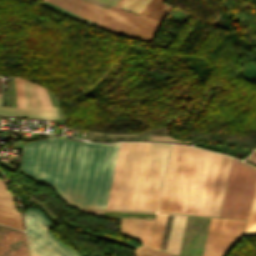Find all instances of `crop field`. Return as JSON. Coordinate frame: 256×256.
Returning a JSON list of instances; mask_svg holds the SVG:
<instances>
[{
    "label": "crop field",
    "instance_id": "1",
    "mask_svg": "<svg viewBox=\"0 0 256 256\" xmlns=\"http://www.w3.org/2000/svg\"><path fill=\"white\" fill-rule=\"evenodd\" d=\"M119 145L49 137L24 146L20 168L73 206L105 209Z\"/></svg>",
    "mask_w": 256,
    "mask_h": 256
},
{
    "label": "crop field",
    "instance_id": "2",
    "mask_svg": "<svg viewBox=\"0 0 256 256\" xmlns=\"http://www.w3.org/2000/svg\"><path fill=\"white\" fill-rule=\"evenodd\" d=\"M220 157L187 146L172 213L207 216Z\"/></svg>",
    "mask_w": 256,
    "mask_h": 256
},
{
    "label": "crop field",
    "instance_id": "3",
    "mask_svg": "<svg viewBox=\"0 0 256 256\" xmlns=\"http://www.w3.org/2000/svg\"><path fill=\"white\" fill-rule=\"evenodd\" d=\"M255 176L256 169L233 159L220 217L246 220ZM249 234H256V181L243 235Z\"/></svg>",
    "mask_w": 256,
    "mask_h": 256
},
{
    "label": "crop field",
    "instance_id": "4",
    "mask_svg": "<svg viewBox=\"0 0 256 256\" xmlns=\"http://www.w3.org/2000/svg\"><path fill=\"white\" fill-rule=\"evenodd\" d=\"M150 143H128L113 209L135 210Z\"/></svg>",
    "mask_w": 256,
    "mask_h": 256
},
{
    "label": "crop field",
    "instance_id": "5",
    "mask_svg": "<svg viewBox=\"0 0 256 256\" xmlns=\"http://www.w3.org/2000/svg\"><path fill=\"white\" fill-rule=\"evenodd\" d=\"M169 147L151 143L136 210L155 211Z\"/></svg>",
    "mask_w": 256,
    "mask_h": 256
},
{
    "label": "crop field",
    "instance_id": "6",
    "mask_svg": "<svg viewBox=\"0 0 256 256\" xmlns=\"http://www.w3.org/2000/svg\"><path fill=\"white\" fill-rule=\"evenodd\" d=\"M25 220L31 256H80L48 231L49 221L38 210H27Z\"/></svg>",
    "mask_w": 256,
    "mask_h": 256
},
{
    "label": "crop field",
    "instance_id": "7",
    "mask_svg": "<svg viewBox=\"0 0 256 256\" xmlns=\"http://www.w3.org/2000/svg\"><path fill=\"white\" fill-rule=\"evenodd\" d=\"M244 221L212 218L203 256H225L241 236Z\"/></svg>",
    "mask_w": 256,
    "mask_h": 256
},
{
    "label": "crop field",
    "instance_id": "8",
    "mask_svg": "<svg viewBox=\"0 0 256 256\" xmlns=\"http://www.w3.org/2000/svg\"><path fill=\"white\" fill-rule=\"evenodd\" d=\"M126 1L120 0L115 7L109 5L99 24L154 38L160 23L118 9Z\"/></svg>",
    "mask_w": 256,
    "mask_h": 256
},
{
    "label": "crop field",
    "instance_id": "9",
    "mask_svg": "<svg viewBox=\"0 0 256 256\" xmlns=\"http://www.w3.org/2000/svg\"><path fill=\"white\" fill-rule=\"evenodd\" d=\"M24 90L26 97L27 109L0 107V116L9 117H33V118H45L52 120H59L58 113L55 107L43 109L42 103L37 90V85L28 82L24 79ZM1 102V96H0Z\"/></svg>",
    "mask_w": 256,
    "mask_h": 256
},
{
    "label": "crop field",
    "instance_id": "10",
    "mask_svg": "<svg viewBox=\"0 0 256 256\" xmlns=\"http://www.w3.org/2000/svg\"><path fill=\"white\" fill-rule=\"evenodd\" d=\"M186 146L173 144L158 211L171 213Z\"/></svg>",
    "mask_w": 256,
    "mask_h": 256
},
{
    "label": "crop field",
    "instance_id": "11",
    "mask_svg": "<svg viewBox=\"0 0 256 256\" xmlns=\"http://www.w3.org/2000/svg\"><path fill=\"white\" fill-rule=\"evenodd\" d=\"M2 256H29L25 233L0 225Z\"/></svg>",
    "mask_w": 256,
    "mask_h": 256
},
{
    "label": "crop field",
    "instance_id": "12",
    "mask_svg": "<svg viewBox=\"0 0 256 256\" xmlns=\"http://www.w3.org/2000/svg\"><path fill=\"white\" fill-rule=\"evenodd\" d=\"M232 159L222 155L208 216L219 217Z\"/></svg>",
    "mask_w": 256,
    "mask_h": 256
},
{
    "label": "crop field",
    "instance_id": "13",
    "mask_svg": "<svg viewBox=\"0 0 256 256\" xmlns=\"http://www.w3.org/2000/svg\"><path fill=\"white\" fill-rule=\"evenodd\" d=\"M0 223L23 230L21 213L16 212L12 195L0 180Z\"/></svg>",
    "mask_w": 256,
    "mask_h": 256
},
{
    "label": "crop field",
    "instance_id": "14",
    "mask_svg": "<svg viewBox=\"0 0 256 256\" xmlns=\"http://www.w3.org/2000/svg\"><path fill=\"white\" fill-rule=\"evenodd\" d=\"M75 209L81 212L92 214L99 217H104L102 216V213L104 211H109V210H92V209H82V208H75ZM111 212H132V211H111ZM132 213H148V212H132ZM148 214H155V213H148ZM106 218H115V217H106ZM144 220L145 219L122 218L121 224H120V233L128 238L140 241Z\"/></svg>",
    "mask_w": 256,
    "mask_h": 256
},
{
    "label": "crop field",
    "instance_id": "15",
    "mask_svg": "<svg viewBox=\"0 0 256 256\" xmlns=\"http://www.w3.org/2000/svg\"><path fill=\"white\" fill-rule=\"evenodd\" d=\"M73 13L98 22L105 9L90 5L82 0H48Z\"/></svg>",
    "mask_w": 256,
    "mask_h": 256
},
{
    "label": "crop field",
    "instance_id": "16",
    "mask_svg": "<svg viewBox=\"0 0 256 256\" xmlns=\"http://www.w3.org/2000/svg\"><path fill=\"white\" fill-rule=\"evenodd\" d=\"M186 218L187 216H184V215H174L173 221H172V226H171V231H170L166 251L177 256L180 250Z\"/></svg>",
    "mask_w": 256,
    "mask_h": 256
},
{
    "label": "crop field",
    "instance_id": "17",
    "mask_svg": "<svg viewBox=\"0 0 256 256\" xmlns=\"http://www.w3.org/2000/svg\"><path fill=\"white\" fill-rule=\"evenodd\" d=\"M164 0H151L142 10L140 15L148 17L158 22H162L171 6L163 3Z\"/></svg>",
    "mask_w": 256,
    "mask_h": 256
},
{
    "label": "crop field",
    "instance_id": "18",
    "mask_svg": "<svg viewBox=\"0 0 256 256\" xmlns=\"http://www.w3.org/2000/svg\"><path fill=\"white\" fill-rule=\"evenodd\" d=\"M127 143H121L106 209H112Z\"/></svg>",
    "mask_w": 256,
    "mask_h": 256
},
{
    "label": "crop field",
    "instance_id": "19",
    "mask_svg": "<svg viewBox=\"0 0 256 256\" xmlns=\"http://www.w3.org/2000/svg\"><path fill=\"white\" fill-rule=\"evenodd\" d=\"M167 214L157 213L150 247L159 250Z\"/></svg>",
    "mask_w": 256,
    "mask_h": 256
},
{
    "label": "crop field",
    "instance_id": "20",
    "mask_svg": "<svg viewBox=\"0 0 256 256\" xmlns=\"http://www.w3.org/2000/svg\"><path fill=\"white\" fill-rule=\"evenodd\" d=\"M41 4H42V3H41ZM43 5L49 7V8H51V9H53V10H56V11H58V12H60V13H63V14H65V15H67V16H70V17H72V18H75V19H77V20H79V21H82V22H84V23H86V24H89V25H91V26H93V27H94L95 24H96V23H94V22H92V21H89V20H87V19H85V18H82V17H80V16H78V15H76V14H73V13H71V12H69V11H66V10H64V9H62V8H60V7H58V6L54 5V4H52V3L48 2V1H46V0H44Z\"/></svg>",
    "mask_w": 256,
    "mask_h": 256
},
{
    "label": "crop field",
    "instance_id": "21",
    "mask_svg": "<svg viewBox=\"0 0 256 256\" xmlns=\"http://www.w3.org/2000/svg\"><path fill=\"white\" fill-rule=\"evenodd\" d=\"M149 0H128L122 9L139 14Z\"/></svg>",
    "mask_w": 256,
    "mask_h": 256
},
{
    "label": "crop field",
    "instance_id": "22",
    "mask_svg": "<svg viewBox=\"0 0 256 256\" xmlns=\"http://www.w3.org/2000/svg\"><path fill=\"white\" fill-rule=\"evenodd\" d=\"M16 92H17V107L26 108L24 90L21 78H15Z\"/></svg>",
    "mask_w": 256,
    "mask_h": 256
},
{
    "label": "crop field",
    "instance_id": "23",
    "mask_svg": "<svg viewBox=\"0 0 256 256\" xmlns=\"http://www.w3.org/2000/svg\"><path fill=\"white\" fill-rule=\"evenodd\" d=\"M135 256H170V254L141 246L136 249Z\"/></svg>",
    "mask_w": 256,
    "mask_h": 256
},
{
    "label": "crop field",
    "instance_id": "24",
    "mask_svg": "<svg viewBox=\"0 0 256 256\" xmlns=\"http://www.w3.org/2000/svg\"><path fill=\"white\" fill-rule=\"evenodd\" d=\"M96 27H99V28L107 30V31L123 34V35H126V36L138 38V39H141V40H144V41H147V42H151L152 41V39L141 37V36H138V35H135V34H131V33H128V32H124V31H121V30H117V29H114V28L106 27V26H103V25L97 24Z\"/></svg>",
    "mask_w": 256,
    "mask_h": 256
},
{
    "label": "crop field",
    "instance_id": "25",
    "mask_svg": "<svg viewBox=\"0 0 256 256\" xmlns=\"http://www.w3.org/2000/svg\"><path fill=\"white\" fill-rule=\"evenodd\" d=\"M154 221H146L141 243L148 245Z\"/></svg>",
    "mask_w": 256,
    "mask_h": 256
},
{
    "label": "crop field",
    "instance_id": "26",
    "mask_svg": "<svg viewBox=\"0 0 256 256\" xmlns=\"http://www.w3.org/2000/svg\"><path fill=\"white\" fill-rule=\"evenodd\" d=\"M38 90H39V93H40V96H41V100H42V103H43V106L44 107H51V103H50V100H49V97L47 95V92L45 89H43L41 86L38 85Z\"/></svg>",
    "mask_w": 256,
    "mask_h": 256
},
{
    "label": "crop field",
    "instance_id": "27",
    "mask_svg": "<svg viewBox=\"0 0 256 256\" xmlns=\"http://www.w3.org/2000/svg\"><path fill=\"white\" fill-rule=\"evenodd\" d=\"M103 215H110V216H145V217H155V215H148V214L109 213V212H104Z\"/></svg>",
    "mask_w": 256,
    "mask_h": 256
},
{
    "label": "crop field",
    "instance_id": "28",
    "mask_svg": "<svg viewBox=\"0 0 256 256\" xmlns=\"http://www.w3.org/2000/svg\"><path fill=\"white\" fill-rule=\"evenodd\" d=\"M150 140H163V141H174V142H184L177 139H174L170 136H150ZM189 143V142H187Z\"/></svg>",
    "mask_w": 256,
    "mask_h": 256
},
{
    "label": "crop field",
    "instance_id": "29",
    "mask_svg": "<svg viewBox=\"0 0 256 256\" xmlns=\"http://www.w3.org/2000/svg\"><path fill=\"white\" fill-rule=\"evenodd\" d=\"M100 1L107 3V4H111L113 6H115L119 2V0H100Z\"/></svg>",
    "mask_w": 256,
    "mask_h": 256
},
{
    "label": "crop field",
    "instance_id": "30",
    "mask_svg": "<svg viewBox=\"0 0 256 256\" xmlns=\"http://www.w3.org/2000/svg\"><path fill=\"white\" fill-rule=\"evenodd\" d=\"M256 164V151L252 153V155L247 159Z\"/></svg>",
    "mask_w": 256,
    "mask_h": 256
},
{
    "label": "crop field",
    "instance_id": "31",
    "mask_svg": "<svg viewBox=\"0 0 256 256\" xmlns=\"http://www.w3.org/2000/svg\"><path fill=\"white\" fill-rule=\"evenodd\" d=\"M0 256H1V253H0Z\"/></svg>",
    "mask_w": 256,
    "mask_h": 256
},
{
    "label": "crop field",
    "instance_id": "32",
    "mask_svg": "<svg viewBox=\"0 0 256 256\" xmlns=\"http://www.w3.org/2000/svg\"><path fill=\"white\" fill-rule=\"evenodd\" d=\"M0 95H1V93H0Z\"/></svg>",
    "mask_w": 256,
    "mask_h": 256
}]
</instances>
